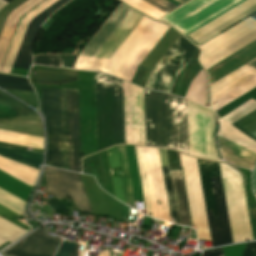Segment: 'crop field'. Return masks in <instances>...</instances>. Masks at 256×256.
Listing matches in <instances>:
<instances>
[{
    "label": "crop field",
    "instance_id": "obj_9",
    "mask_svg": "<svg viewBox=\"0 0 256 256\" xmlns=\"http://www.w3.org/2000/svg\"><path fill=\"white\" fill-rule=\"evenodd\" d=\"M254 11L256 0H246L188 36L200 44ZM191 38L189 39L192 40ZM195 41L193 42L196 43Z\"/></svg>",
    "mask_w": 256,
    "mask_h": 256
},
{
    "label": "crop field",
    "instance_id": "obj_23",
    "mask_svg": "<svg viewBox=\"0 0 256 256\" xmlns=\"http://www.w3.org/2000/svg\"><path fill=\"white\" fill-rule=\"evenodd\" d=\"M141 1L145 2L146 4L156 8L157 10L165 14L170 12L174 8L178 7L167 0H141Z\"/></svg>",
    "mask_w": 256,
    "mask_h": 256
},
{
    "label": "crop field",
    "instance_id": "obj_10",
    "mask_svg": "<svg viewBox=\"0 0 256 256\" xmlns=\"http://www.w3.org/2000/svg\"><path fill=\"white\" fill-rule=\"evenodd\" d=\"M60 242V239L47 235L42 227L2 254L6 256H53Z\"/></svg>",
    "mask_w": 256,
    "mask_h": 256
},
{
    "label": "crop field",
    "instance_id": "obj_6",
    "mask_svg": "<svg viewBox=\"0 0 256 256\" xmlns=\"http://www.w3.org/2000/svg\"><path fill=\"white\" fill-rule=\"evenodd\" d=\"M63 168L68 169L65 89H60ZM70 170L81 172L78 90L67 89Z\"/></svg>",
    "mask_w": 256,
    "mask_h": 256
},
{
    "label": "crop field",
    "instance_id": "obj_35",
    "mask_svg": "<svg viewBox=\"0 0 256 256\" xmlns=\"http://www.w3.org/2000/svg\"><path fill=\"white\" fill-rule=\"evenodd\" d=\"M176 1H178V2L183 4V3L187 2L188 0H176Z\"/></svg>",
    "mask_w": 256,
    "mask_h": 256
},
{
    "label": "crop field",
    "instance_id": "obj_28",
    "mask_svg": "<svg viewBox=\"0 0 256 256\" xmlns=\"http://www.w3.org/2000/svg\"><path fill=\"white\" fill-rule=\"evenodd\" d=\"M203 256H223V252L221 248L212 249L204 252Z\"/></svg>",
    "mask_w": 256,
    "mask_h": 256
},
{
    "label": "crop field",
    "instance_id": "obj_3",
    "mask_svg": "<svg viewBox=\"0 0 256 256\" xmlns=\"http://www.w3.org/2000/svg\"><path fill=\"white\" fill-rule=\"evenodd\" d=\"M97 152L125 144L123 81L95 72Z\"/></svg>",
    "mask_w": 256,
    "mask_h": 256
},
{
    "label": "crop field",
    "instance_id": "obj_33",
    "mask_svg": "<svg viewBox=\"0 0 256 256\" xmlns=\"http://www.w3.org/2000/svg\"><path fill=\"white\" fill-rule=\"evenodd\" d=\"M4 1H6V2H11L12 0H4ZM7 3H5V2H3V1H1L0 0V9L3 7V6H5Z\"/></svg>",
    "mask_w": 256,
    "mask_h": 256
},
{
    "label": "crop field",
    "instance_id": "obj_2",
    "mask_svg": "<svg viewBox=\"0 0 256 256\" xmlns=\"http://www.w3.org/2000/svg\"><path fill=\"white\" fill-rule=\"evenodd\" d=\"M165 94L166 148L189 154L187 100ZM144 103L146 145L165 148L163 93L144 89Z\"/></svg>",
    "mask_w": 256,
    "mask_h": 256
},
{
    "label": "crop field",
    "instance_id": "obj_36",
    "mask_svg": "<svg viewBox=\"0 0 256 256\" xmlns=\"http://www.w3.org/2000/svg\"><path fill=\"white\" fill-rule=\"evenodd\" d=\"M250 17H252L253 19L256 20V14H254V15H252V16H250Z\"/></svg>",
    "mask_w": 256,
    "mask_h": 256
},
{
    "label": "crop field",
    "instance_id": "obj_1",
    "mask_svg": "<svg viewBox=\"0 0 256 256\" xmlns=\"http://www.w3.org/2000/svg\"><path fill=\"white\" fill-rule=\"evenodd\" d=\"M130 9L120 3L86 44L81 54L95 56ZM143 16L131 9L96 56L110 59ZM169 28L144 16L109 60L104 72L131 81L137 66Z\"/></svg>",
    "mask_w": 256,
    "mask_h": 256
},
{
    "label": "crop field",
    "instance_id": "obj_22",
    "mask_svg": "<svg viewBox=\"0 0 256 256\" xmlns=\"http://www.w3.org/2000/svg\"><path fill=\"white\" fill-rule=\"evenodd\" d=\"M34 64L49 65L56 67H63L58 55L44 54L35 56Z\"/></svg>",
    "mask_w": 256,
    "mask_h": 256
},
{
    "label": "crop field",
    "instance_id": "obj_19",
    "mask_svg": "<svg viewBox=\"0 0 256 256\" xmlns=\"http://www.w3.org/2000/svg\"><path fill=\"white\" fill-rule=\"evenodd\" d=\"M117 148H118L119 158H120L122 172H123V180H124V185H125V190H126L127 202H128V204L135 205L134 200H133L131 183H130L125 148H124V146H117Z\"/></svg>",
    "mask_w": 256,
    "mask_h": 256
},
{
    "label": "crop field",
    "instance_id": "obj_31",
    "mask_svg": "<svg viewBox=\"0 0 256 256\" xmlns=\"http://www.w3.org/2000/svg\"><path fill=\"white\" fill-rule=\"evenodd\" d=\"M1 146H6V147H11V148H16V149H21L23 150L24 148L22 147H17V146H12V145H7V144H3V143H0Z\"/></svg>",
    "mask_w": 256,
    "mask_h": 256
},
{
    "label": "crop field",
    "instance_id": "obj_17",
    "mask_svg": "<svg viewBox=\"0 0 256 256\" xmlns=\"http://www.w3.org/2000/svg\"><path fill=\"white\" fill-rule=\"evenodd\" d=\"M159 151H160L162 165L168 164L166 150L159 149ZM163 169H164L167 194H168V200H169V206H170V214H171V217H175L176 223L179 224L168 165L163 166Z\"/></svg>",
    "mask_w": 256,
    "mask_h": 256
},
{
    "label": "crop field",
    "instance_id": "obj_24",
    "mask_svg": "<svg viewBox=\"0 0 256 256\" xmlns=\"http://www.w3.org/2000/svg\"><path fill=\"white\" fill-rule=\"evenodd\" d=\"M18 214L5 208L4 206L0 205V216L5 218L6 220L18 225L19 227L25 229V230H29L30 227L14 220L13 218L16 217Z\"/></svg>",
    "mask_w": 256,
    "mask_h": 256
},
{
    "label": "crop field",
    "instance_id": "obj_29",
    "mask_svg": "<svg viewBox=\"0 0 256 256\" xmlns=\"http://www.w3.org/2000/svg\"><path fill=\"white\" fill-rule=\"evenodd\" d=\"M122 216L129 217V207L123 205Z\"/></svg>",
    "mask_w": 256,
    "mask_h": 256
},
{
    "label": "crop field",
    "instance_id": "obj_32",
    "mask_svg": "<svg viewBox=\"0 0 256 256\" xmlns=\"http://www.w3.org/2000/svg\"><path fill=\"white\" fill-rule=\"evenodd\" d=\"M78 244H76L75 248L73 249V251L71 252L70 256H78L77 253H75L76 249L78 248Z\"/></svg>",
    "mask_w": 256,
    "mask_h": 256
},
{
    "label": "crop field",
    "instance_id": "obj_8",
    "mask_svg": "<svg viewBox=\"0 0 256 256\" xmlns=\"http://www.w3.org/2000/svg\"><path fill=\"white\" fill-rule=\"evenodd\" d=\"M79 176V173L46 167L45 177L47 179V186L44 192L55 196L59 200L68 194L77 204L80 211L92 213Z\"/></svg>",
    "mask_w": 256,
    "mask_h": 256
},
{
    "label": "crop field",
    "instance_id": "obj_14",
    "mask_svg": "<svg viewBox=\"0 0 256 256\" xmlns=\"http://www.w3.org/2000/svg\"><path fill=\"white\" fill-rule=\"evenodd\" d=\"M107 152H108V158H109L116 198L126 203L124 191H123L122 179H121L122 174H121V169H120V164L118 159L117 148L114 147V148L108 149ZM119 172L121 174L120 176H119Z\"/></svg>",
    "mask_w": 256,
    "mask_h": 256
},
{
    "label": "crop field",
    "instance_id": "obj_34",
    "mask_svg": "<svg viewBox=\"0 0 256 256\" xmlns=\"http://www.w3.org/2000/svg\"><path fill=\"white\" fill-rule=\"evenodd\" d=\"M247 64H249V65H251V66L255 67V66H256V58H255V59H253V60H251V61H250V62H248Z\"/></svg>",
    "mask_w": 256,
    "mask_h": 256
},
{
    "label": "crop field",
    "instance_id": "obj_30",
    "mask_svg": "<svg viewBox=\"0 0 256 256\" xmlns=\"http://www.w3.org/2000/svg\"><path fill=\"white\" fill-rule=\"evenodd\" d=\"M253 191H254V193L256 195V169H255V171L253 173Z\"/></svg>",
    "mask_w": 256,
    "mask_h": 256
},
{
    "label": "crop field",
    "instance_id": "obj_20",
    "mask_svg": "<svg viewBox=\"0 0 256 256\" xmlns=\"http://www.w3.org/2000/svg\"><path fill=\"white\" fill-rule=\"evenodd\" d=\"M0 87L13 90L34 91L27 79L0 75Z\"/></svg>",
    "mask_w": 256,
    "mask_h": 256
},
{
    "label": "crop field",
    "instance_id": "obj_13",
    "mask_svg": "<svg viewBox=\"0 0 256 256\" xmlns=\"http://www.w3.org/2000/svg\"><path fill=\"white\" fill-rule=\"evenodd\" d=\"M0 156L35 168L42 162L43 154L21 151L0 146Z\"/></svg>",
    "mask_w": 256,
    "mask_h": 256
},
{
    "label": "crop field",
    "instance_id": "obj_18",
    "mask_svg": "<svg viewBox=\"0 0 256 256\" xmlns=\"http://www.w3.org/2000/svg\"><path fill=\"white\" fill-rule=\"evenodd\" d=\"M231 125L256 140V110Z\"/></svg>",
    "mask_w": 256,
    "mask_h": 256
},
{
    "label": "crop field",
    "instance_id": "obj_11",
    "mask_svg": "<svg viewBox=\"0 0 256 256\" xmlns=\"http://www.w3.org/2000/svg\"><path fill=\"white\" fill-rule=\"evenodd\" d=\"M68 0H59L45 11L37 15L30 22L24 39L22 41L21 47L15 59L14 65L12 68H23L27 69L31 62L30 49L33 44L34 37L40 27V25L47 19V17L58 7L66 3ZM69 2V1H68ZM62 7V6H61ZM59 9V8H58Z\"/></svg>",
    "mask_w": 256,
    "mask_h": 256
},
{
    "label": "crop field",
    "instance_id": "obj_27",
    "mask_svg": "<svg viewBox=\"0 0 256 256\" xmlns=\"http://www.w3.org/2000/svg\"><path fill=\"white\" fill-rule=\"evenodd\" d=\"M243 256H256V243L247 244Z\"/></svg>",
    "mask_w": 256,
    "mask_h": 256
},
{
    "label": "crop field",
    "instance_id": "obj_25",
    "mask_svg": "<svg viewBox=\"0 0 256 256\" xmlns=\"http://www.w3.org/2000/svg\"><path fill=\"white\" fill-rule=\"evenodd\" d=\"M75 244H76V241L74 243H71V242L67 243L63 241L62 245L60 246L55 256H68Z\"/></svg>",
    "mask_w": 256,
    "mask_h": 256
},
{
    "label": "crop field",
    "instance_id": "obj_4",
    "mask_svg": "<svg viewBox=\"0 0 256 256\" xmlns=\"http://www.w3.org/2000/svg\"><path fill=\"white\" fill-rule=\"evenodd\" d=\"M197 161L207 220L216 219L215 215H221L222 213V216H216L217 220L208 221L210 236L211 239H213L214 246L233 243L226 208V202L223 192V186L221 181V175L219 170V164L218 162L212 161L219 196V202L221 207V213L212 169V163L211 161L202 160L198 158Z\"/></svg>",
    "mask_w": 256,
    "mask_h": 256
},
{
    "label": "crop field",
    "instance_id": "obj_12",
    "mask_svg": "<svg viewBox=\"0 0 256 256\" xmlns=\"http://www.w3.org/2000/svg\"><path fill=\"white\" fill-rule=\"evenodd\" d=\"M174 188L180 224L190 226V219L185 196L183 178L181 170L170 171Z\"/></svg>",
    "mask_w": 256,
    "mask_h": 256
},
{
    "label": "crop field",
    "instance_id": "obj_5",
    "mask_svg": "<svg viewBox=\"0 0 256 256\" xmlns=\"http://www.w3.org/2000/svg\"><path fill=\"white\" fill-rule=\"evenodd\" d=\"M197 50L180 36L154 67L145 87L168 93L178 73Z\"/></svg>",
    "mask_w": 256,
    "mask_h": 256
},
{
    "label": "crop field",
    "instance_id": "obj_26",
    "mask_svg": "<svg viewBox=\"0 0 256 256\" xmlns=\"http://www.w3.org/2000/svg\"><path fill=\"white\" fill-rule=\"evenodd\" d=\"M46 203L49 206H51L55 211L66 210L64 204L61 201H59V200H57L55 198H52V199L46 201Z\"/></svg>",
    "mask_w": 256,
    "mask_h": 256
},
{
    "label": "crop field",
    "instance_id": "obj_16",
    "mask_svg": "<svg viewBox=\"0 0 256 256\" xmlns=\"http://www.w3.org/2000/svg\"><path fill=\"white\" fill-rule=\"evenodd\" d=\"M0 104L11 107L17 114L16 117L40 118L34 110L12 99L2 91H0Z\"/></svg>",
    "mask_w": 256,
    "mask_h": 256
},
{
    "label": "crop field",
    "instance_id": "obj_15",
    "mask_svg": "<svg viewBox=\"0 0 256 256\" xmlns=\"http://www.w3.org/2000/svg\"><path fill=\"white\" fill-rule=\"evenodd\" d=\"M185 97L207 106L206 75L203 69L192 81Z\"/></svg>",
    "mask_w": 256,
    "mask_h": 256
},
{
    "label": "crop field",
    "instance_id": "obj_7",
    "mask_svg": "<svg viewBox=\"0 0 256 256\" xmlns=\"http://www.w3.org/2000/svg\"><path fill=\"white\" fill-rule=\"evenodd\" d=\"M48 136L46 164L62 168L59 89L42 88Z\"/></svg>",
    "mask_w": 256,
    "mask_h": 256
},
{
    "label": "crop field",
    "instance_id": "obj_21",
    "mask_svg": "<svg viewBox=\"0 0 256 256\" xmlns=\"http://www.w3.org/2000/svg\"><path fill=\"white\" fill-rule=\"evenodd\" d=\"M254 109H256V101L251 99L223 118L231 124L236 120L240 119L241 117L245 116L249 112L253 111Z\"/></svg>",
    "mask_w": 256,
    "mask_h": 256
}]
</instances>
